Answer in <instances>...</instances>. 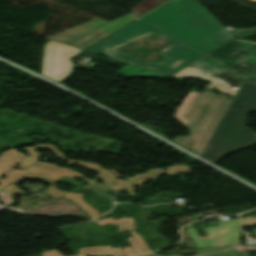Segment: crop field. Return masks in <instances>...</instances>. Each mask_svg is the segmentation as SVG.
<instances>
[{
  "instance_id": "1",
  "label": "crop field",
  "mask_w": 256,
  "mask_h": 256,
  "mask_svg": "<svg viewBox=\"0 0 256 256\" xmlns=\"http://www.w3.org/2000/svg\"><path fill=\"white\" fill-rule=\"evenodd\" d=\"M143 18L204 55L229 39L256 33V28L229 32L197 0H173Z\"/></svg>"
},
{
  "instance_id": "2",
  "label": "crop field",
  "mask_w": 256,
  "mask_h": 256,
  "mask_svg": "<svg viewBox=\"0 0 256 256\" xmlns=\"http://www.w3.org/2000/svg\"><path fill=\"white\" fill-rule=\"evenodd\" d=\"M154 33L173 44L159 52V54L169 58L163 63L150 64L125 52L116 50L119 46L136 39H142ZM88 51L95 54H105L108 58L116 59L168 77L174 75L191 62L203 56L142 18L88 49Z\"/></svg>"
},
{
  "instance_id": "3",
  "label": "crop field",
  "mask_w": 256,
  "mask_h": 256,
  "mask_svg": "<svg viewBox=\"0 0 256 256\" xmlns=\"http://www.w3.org/2000/svg\"><path fill=\"white\" fill-rule=\"evenodd\" d=\"M254 111H256V84L244 80L202 157L216 163L229 154L255 145L256 133L246 127L247 114Z\"/></svg>"
},
{
  "instance_id": "4",
  "label": "crop field",
  "mask_w": 256,
  "mask_h": 256,
  "mask_svg": "<svg viewBox=\"0 0 256 256\" xmlns=\"http://www.w3.org/2000/svg\"><path fill=\"white\" fill-rule=\"evenodd\" d=\"M196 89L192 88L174 116L190 134L177 136L173 142L201 154L232 98L223 94L215 96L209 90L200 94Z\"/></svg>"
},
{
  "instance_id": "5",
  "label": "crop field",
  "mask_w": 256,
  "mask_h": 256,
  "mask_svg": "<svg viewBox=\"0 0 256 256\" xmlns=\"http://www.w3.org/2000/svg\"><path fill=\"white\" fill-rule=\"evenodd\" d=\"M206 57L240 77L256 83V42L229 40Z\"/></svg>"
},
{
  "instance_id": "6",
  "label": "crop field",
  "mask_w": 256,
  "mask_h": 256,
  "mask_svg": "<svg viewBox=\"0 0 256 256\" xmlns=\"http://www.w3.org/2000/svg\"><path fill=\"white\" fill-rule=\"evenodd\" d=\"M183 77L198 78L212 82L207 86L208 89L217 88L222 93L230 94L232 97H234L243 81L206 57L193 62L171 78L180 80Z\"/></svg>"
},
{
  "instance_id": "7",
  "label": "crop field",
  "mask_w": 256,
  "mask_h": 256,
  "mask_svg": "<svg viewBox=\"0 0 256 256\" xmlns=\"http://www.w3.org/2000/svg\"><path fill=\"white\" fill-rule=\"evenodd\" d=\"M137 17L139 16L131 13L111 22L97 18L62 34L54 36L51 39L85 49L94 42L107 36ZM96 35H100V37L95 38Z\"/></svg>"
},
{
  "instance_id": "8",
  "label": "crop field",
  "mask_w": 256,
  "mask_h": 256,
  "mask_svg": "<svg viewBox=\"0 0 256 256\" xmlns=\"http://www.w3.org/2000/svg\"><path fill=\"white\" fill-rule=\"evenodd\" d=\"M77 55V49L49 40L45 45L42 75L60 83L69 76L72 63L70 58Z\"/></svg>"
},
{
  "instance_id": "9",
  "label": "crop field",
  "mask_w": 256,
  "mask_h": 256,
  "mask_svg": "<svg viewBox=\"0 0 256 256\" xmlns=\"http://www.w3.org/2000/svg\"><path fill=\"white\" fill-rule=\"evenodd\" d=\"M189 226L190 228L186 230L194 241L197 249L220 246L214 237L215 235H220L227 246L240 245L238 239L241 237V231L238 219L219 222V227L204 228L208 235V237L205 238L200 237L192 224Z\"/></svg>"
},
{
  "instance_id": "10",
  "label": "crop field",
  "mask_w": 256,
  "mask_h": 256,
  "mask_svg": "<svg viewBox=\"0 0 256 256\" xmlns=\"http://www.w3.org/2000/svg\"><path fill=\"white\" fill-rule=\"evenodd\" d=\"M143 69L128 65L122 69L117 70V72L124 77L132 78L136 76H146V77H160V78H168L162 75H158L149 71L141 72Z\"/></svg>"
},
{
  "instance_id": "11",
  "label": "crop field",
  "mask_w": 256,
  "mask_h": 256,
  "mask_svg": "<svg viewBox=\"0 0 256 256\" xmlns=\"http://www.w3.org/2000/svg\"><path fill=\"white\" fill-rule=\"evenodd\" d=\"M164 1H166V0H145L144 2L140 3L139 5L135 6L134 8H132L130 10L134 11L139 16H141L142 14L150 11L151 9H153L154 7L163 3Z\"/></svg>"
},
{
  "instance_id": "12",
  "label": "crop field",
  "mask_w": 256,
  "mask_h": 256,
  "mask_svg": "<svg viewBox=\"0 0 256 256\" xmlns=\"http://www.w3.org/2000/svg\"><path fill=\"white\" fill-rule=\"evenodd\" d=\"M241 220L243 225H249V226L256 225V217H248V218H243Z\"/></svg>"
}]
</instances>
